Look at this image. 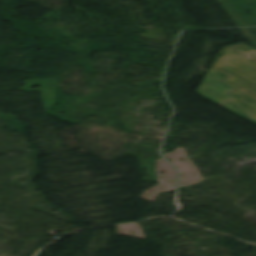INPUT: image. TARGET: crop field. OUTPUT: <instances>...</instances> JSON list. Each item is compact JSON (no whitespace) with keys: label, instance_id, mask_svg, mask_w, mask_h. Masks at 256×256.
Here are the masks:
<instances>
[{"label":"crop field","instance_id":"8a807250","mask_svg":"<svg viewBox=\"0 0 256 256\" xmlns=\"http://www.w3.org/2000/svg\"><path fill=\"white\" fill-rule=\"evenodd\" d=\"M242 44L223 51L198 93L221 105L232 99L224 93L233 89L218 81L228 77L227 75L231 76L232 78L222 82L237 88L228 93L235 99L222 106L256 123V51Z\"/></svg>","mask_w":256,"mask_h":256}]
</instances>
